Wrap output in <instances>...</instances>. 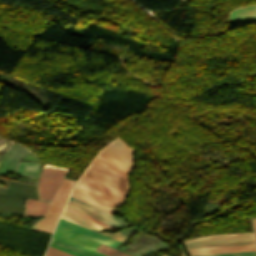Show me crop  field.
Listing matches in <instances>:
<instances>
[{"label":"crop field","instance_id":"12","mask_svg":"<svg viewBox=\"0 0 256 256\" xmlns=\"http://www.w3.org/2000/svg\"><path fill=\"white\" fill-rule=\"evenodd\" d=\"M49 208V203L40 200H26L24 215L26 217H41L46 216Z\"/></svg>","mask_w":256,"mask_h":256},{"label":"crop field","instance_id":"20","mask_svg":"<svg viewBox=\"0 0 256 256\" xmlns=\"http://www.w3.org/2000/svg\"><path fill=\"white\" fill-rule=\"evenodd\" d=\"M250 254H256V251L237 252V253H224V254H210V255H196V256H233V255H250Z\"/></svg>","mask_w":256,"mask_h":256},{"label":"crop field","instance_id":"9","mask_svg":"<svg viewBox=\"0 0 256 256\" xmlns=\"http://www.w3.org/2000/svg\"><path fill=\"white\" fill-rule=\"evenodd\" d=\"M75 181L63 179L51 203L50 211L60 214Z\"/></svg>","mask_w":256,"mask_h":256},{"label":"crop field","instance_id":"8","mask_svg":"<svg viewBox=\"0 0 256 256\" xmlns=\"http://www.w3.org/2000/svg\"><path fill=\"white\" fill-rule=\"evenodd\" d=\"M61 217L68 220V221H71L75 224H78V225H80L84 228L93 230L97 233H100L102 235L108 236L110 238L116 239V240L121 241V242H124L128 238V237H126V236H124V235H122L118 232H116L114 234L98 232L96 230H100V231H107V230H104L100 226H98V225H96V224H94V223H92V222H90V221H88V220H86V219H84L80 216H77V215H75V214H73V213H71V212H69L65 209L63 210V213H62Z\"/></svg>","mask_w":256,"mask_h":256},{"label":"crop field","instance_id":"17","mask_svg":"<svg viewBox=\"0 0 256 256\" xmlns=\"http://www.w3.org/2000/svg\"><path fill=\"white\" fill-rule=\"evenodd\" d=\"M46 256H73V255L68 254L66 252H63L61 250H58V249L50 246L46 253Z\"/></svg>","mask_w":256,"mask_h":256},{"label":"crop field","instance_id":"6","mask_svg":"<svg viewBox=\"0 0 256 256\" xmlns=\"http://www.w3.org/2000/svg\"><path fill=\"white\" fill-rule=\"evenodd\" d=\"M67 206L73 208V209H76L82 213H85L97 220H99L100 222L104 223L105 225L111 227V228H114L122 223H124V221L116 218V217H113V216H110L74 197H70L68 203H67Z\"/></svg>","mask_w":256,"mask_h":256},{"label":"crop field","instance_id":"18","mask_svg":"<svg viewBox=\"0 0 256 256\" xmlns=\"http://www.w3.org/2000/svg\"><path fill=\"white\" fill-rule=\"evenodd\" d=\"M249 243H255V241L235 242V243H221V244H207V245H193V246H186V247L187 248H193V247H207V246H221V245H235V244H249Z\"/></svg>","mask_w":256,"mask_h":256},{"label":"crop field","instance_id":"1","mask_svg":"<svg viewBox=\"0 0 256 256\" xmlns=\"http://www.w3.org/2000/svg\"><path fill=\"white\" fill-rule=\"evenodd\" d=\"M57 225L60 226V227L65 228V229H68L70 231H73L75 233H78L80 235H83L85 237H88L90 239H93L95 241H98L100 243H103V244H105L107 246H110L112 248H115L116 245L120 244L117 241H114V240L109 239L105 236H102V235H99V234L94 233L92 231H89L87 229H84V228H82L78 225H75L71 222H68V221H66L62 218H60ZM58 226L56 227V230H55L54 236H53L56 239L62 240L64 242H67L69 244H72V245H75L77 247L83 248L85 250H88L90 252L96 253V254L101 255V256H106V255H109V256H129L127 254H124L122 252L114 250V249H112L110 247H107L105 245H102V244L100 245V243H97L95 241L87 239L83 236H80L78 234H75L73 232L65 230V229L60 228ZM95 249H96V251L104 253L106 255L94 251Z\"/></svg>","mask_w":256,"mask_h":256},{"label":"crop field","instance_id":"22","mask_svg":"<svg viewBox=\"0 0 256 256\" xmlns=\"http://www.w3.org/2000/svg\"><path fill=\"white\" fill-rule=\"evenodd\" d=\"M253 224H254V229H255V234H256V220H253Z\"/></svg>","mask_w":256,"mask_h":256},{"label":"crop field","instance_id":"4","mask_svg":"<svg viewBox=\"0 0 256 256\" xmlns=\"http://www.w3.org/2000/svg\"><path fill=\"white\" fill-rule=\"evenodd\" d=\"M71 195L111 215L115 210L109 206L116 207L120 203L79 182L75 185Z\"/></svg>","mask_w":256,"mask_h":256},{"label":"crop field","instance_id":"3","mask_svg":"<svg viewBox=\"0 0 256 256\" xmlns=\"http://www.w3.org/2000/svg\"><path fill=\"white\" fill-rule=\"evenodd\" d=\"M132 150L118 137L104 147L97 157L129 174L132 167V155L129 152Z\"/></svg>","mask_w":256,"mask_h":256},{"label":"crop field","instance_id":"2","mask_svg":"<svg viewBox=\"0 0 256 256\" xmlns=\"http://www.w3.org/2000/svg\"><path fill=\"white\" fill-rule=\"evenodd\" d=\"M85 174L126 193L129 191L128 174L97 157L86 170Z\"/></svg>","mask_w":256,"mask_h":256},{"label":"crop field","instance_id":"11","mask_svg":"<svg viewBox=\"0 0 256 256\" xmlns=\"http://www.w3.org/2000/svg\"><path fill=\"white\" fill-rule=\"evenodd\" d=\"M80 182L94 188V189H97L103 193H105L106 195L118 200V201H122L123 198L126 196V193L124 192H121L119 190H116L114 188H111L85 174H83V176L80 178L79 180ZM125 199V198H124Z\"/></svg>","mask_w":256,"mask_h":256},{"label":"crop field","instance_id":"23","mask_svg":"<svg viewBox=\"0 0 256 256\" xmlns=\"http://www.w3.org/2000/svg\"><path fill=\"white\" fill-rule=\"evenodd\" d=\"M250 256H256V255H250Z\"/></svg>","mask_w":256,"mask_h":256},{"label":"crop field","instance_id":"16","mask_svg":"<svg viewBox=\"0 0 256 256\" xmlns=\"http://www.w3.org/2000/svg\"><path fill=\"white\" fill-rule=\"evenodd\" d=\"M51 243L54 244V245L60 246V247H62V248H65V249H67V250L73 251V252H75V253H78V254H80V255H83V256H98V255H96V254L90 253V252L85 251V250H83V249H80V248H77V247H75V246H72V245H69V244H67V243H64V242H62V241L56 240V239H54V238L52 239V242H51Z\"/></svg>","mask_w":256,"mask_h":256},{"label":"crop field","instance_id":"7","mask_svg":"<svg viewBox=\"0 0 256 256\" xmlns=\"http://www.w3.org/2000/svg\"><path fill=\"white\" fill-rule=\"evenodd\" d=\"M255 240L253 233L200 237L186 240V245Z\"/></svg>","mask_w":256,"mask_h":256},{"label":"crop field","instance_id":"13","mask_svg":"<svg viewBox=\"0 0 256 256\" xmlns=\"http://www.w3.org/2000/svg\"><path fill=\"white\" fill-rule=\"evenodd\" d=\"M228 17L233 23L256 20V5L232 10Z\"/></svg>","mask_w":256,"mask_h":256},{"label":"crop field","instance_id":"5","mask_svg":"<svg viewBox=\"0 0 256 256\" xmlns=\"http://www.w3.org/2000/svg\"><path fill=\"white\" fill-rule=\"evenodd\" d=\"M67 170L68 169L45 164L38 184V194L40 199L51 201L61 179Z\"/></svg>","mask_w":256,"mask_h":256},{"label":"crop field","instance_id":"21","mask_svg":"<svg viewBox=\"0 0 256 256\" xmlns=\"http://www.w3.org/2000/svg\"><path fill=\"white\" fill-rule=\"evenodd\" d=\"M50 245H51V244H50ZM51 246H53V245H51ZM53 247H56V246H53ZM56 248H58V249H61V248H59V247H56ZM61 250H63V251H66V252H68V253H71V254H73V255H76V256H80V255L74 254V253H72V252H69V251H67V250H64V249H61Z\"/></svg>","mask_w":256,"mask_h":256},{"label":"crop field","instance_id":"19","mask_svg":"<svg viewBox=\"0 0 256 256\" xmlns=\"http://www.w3.org/2000/svg\"><path fill=\"white\" fill-rule=\"evenodd\" d=\"M65 209H67V210H69V211H71V212H73L75 214H78V215H80V216H82V217H84V218H86V219H88V220H90V221H92V222L102 226V227L109 228V227L105 226L104 224L100 223L99 221H97V220H95V219H93V218H91V217H89V216H87L85 214H82V213H80V212H78L76 210H73V209H71V208H69L67 206H65Z\"/></svg>","mask_w":256,"mask_h":256},{"label":"crop field","instance_id":"10","mask_svg":"<svg viewBox=\"0 0 256 256\" xmlns=\"http://www.w3.org/2000/svg\"><path fill=\"white\" fill-rule=\"evenodd\" d=\"M190 255L256 250L255 244L187 249Z\"/></svg>","mask_w":256,"mask_h":256},{"label":"crop field","instance_id":"15","mask_svg":"<svg viewBox=\"0 0 256 256\" xmlns=\"http://www.w3.org/2000/svg\"><path fill=\"white\" fill-rule=\"evenodd\" d=\"M38 162H20L19 170L16 175L25 177H36Z\"/></svg>","mask_w":256,"mask_h":256},{"label":"crop field","instance_id":"14","mask_svg":"<svg viewBox=\"0 0 256 256\" xmlns=\"http://www.w3.org/2000/svg\"><path fill=\"white\" fill-rule=\"evenodd\" d=\"M58 217L59 215L48 213L46 217L38 220L33 228L52 233Z\"/></svg>","mask_w":256,"mask_h":256}]
</instances>
